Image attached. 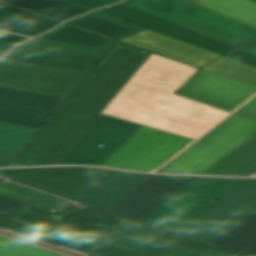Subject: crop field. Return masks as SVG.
I'll return each instance as SVG.
<instances>
[{"label":"crop field","mask_w":256,"mask_h":256,"mask_svg":"<svg viewBox=\"0 0 256 256\" xmlns=\"http://www.w3.org/2000/svg\"><path fill=\"white\" fill-rule=\"evenodd\" d=\"M256 131V119L233 114L159 172L201 174Z\"/></svg>","instance_id":"f4fd0767"},{"label":"crop field","mask_w":256,"mask_h":256,"mask_svg":"<svg viewBox=\"0 0 256 256\" xmlns=\"http://www.w3.org/2000/svg\"><path fill=\"white\" fill-rule=\"evenodd\" d=\"M0 230L6 231V232H10V233H13V234L22 236V237H26V238H29V239L38 241V239L29 237V236H25V235H22V234H19V233H15V232L9 231V230L4 229V228H0ZM39 242H41V241H39ZM42 243H45V242H42ZM45 244L52 245V244H49V243H45ZM55 245H56V244H55ZM55 245H52V246H55ZM55 247H58V248H61V249H64V250H68V251H71V252H74V253H77V254H81V255L87 256V255H85L86 253L79 252V251H76V250H72V249H69V248H66V247H62V246H59V245H57V246H55ZM88 255H89V254H88ZM90 256H93V255H90Z\"/></svg>","instance_id":"d32e631a"},{"label":"crop field","mask_w":256,"mask_h":256,"mask_svg":"<svg viewBox=\"0 0 256 256\" xmlns=\"http://www.w3.org/2000/svg\"><path fill=\"white\" fill-rule=\"evenodd\" d=\"M240 50L256 56V40L246 45L245 47L241 48Z\"/></svg>","instance_id":"5866460e"},{"label":"crop field","mask_w":256,"mask_h":256,"mask_svg":"<svg viewBox=\"0 0 256 256\" xmlns=\"http://www.w3.org/2000/svg\"><path fill=\"white\" fill-rule=\"evenodd\" d=\"M235 48L256 38V30L188 0L126 2Z\"/></svg>","instance_id":"412701ff"},{"label":"crop field","mask_w":256,"mask_h":256,"mask_svg":"<svg viewBox=\"0 0 256 256\" xmlns=\"http://www.w3.org/2000/svg\"><path fill=\"white\" fill-rule=\"evenodd\" d=\"M10 161L4 160L0 158V166H8Z\"/></svg>","instance_id":"0bd39190"},{"label":"crop field","mask_w":256,"mask_h":256,"mask_svg":"<svg viewBox=\"0 0 256 256\" xmlns=\"http://www.w3.org/2000/svg\"><path fill=\"white\" fill-rule=\"evenodd\" d=\"M151 176L98 169L70 199L108 210L149 180Z\"/></svg>","instance_id":"28ad6ade"},{"label":"crop field","mask_w":256,"mask_h":256,"mask_svg":"<svg viewBox=\"0 0 256 256\" xmlns=\"http://www.w3.org/2000/svg\"><path fill=\"white\" fill-rule=\"evenodd\" d=\"M254 176H256V174Z\"/></svg>","instance_id":"c21b1889"},{"label":"crop field","mask_w":256,"mask_h":256,"mask_svg":"<svg viewBox=\"0 0 256 256\" xmlns=\"http://www.w3.org/2000/svg\"><path fill=\"white\" fill-rule=\"evenodd\" d=\"M15 44L12 43H8V42H4V41H0V58L4 56V54L6 53V51L13 47Z\"/></svg>","instance_id":"028f5c9d"},{"label":"crop field","mask_w":256,"mask_h":256,"mask_svg":"<svg viewBox=\"0 0 256 256\" xmlns=\"http://www.w3.org/2000/svg\"><path fill=\"white\" fill-rule=\"evenodd\" d=\"M240 255L242 256H256V243L252 245L250 248L242 252Z\"/></svg>","instance_id":"e1f06a70"},{"label":"crop field","mask_w":256,"mask_h":256,"mask_svg":"<svg viewBox=\"0 0 256 256\" xmlns=\"http://www.w3.org/2000/svg\"><path fill=\"white\" fill-rule=\"evenodd\" d=\"M97 168L59 167L0 170V175L69 198Z\"/></svg>","instance_id":"cbeb9de0"},{"label":"crop field","mask_w":256,"mask_h":256,"mask_svg":"<svg viewBox=\"0 0 256 256\" xmlns=\"http://www.w3.org/2000/svg\"><path fill=\"white\" fill-rule=\"evenodd\" d=\"M35 131V128L0 121V156L12 160Z\"/></svg>","instance_id":"eef30255"},{"label":"crop field","mask_w":256,"mask_h":256,"mask_svg":"<svg viewBox=\"0 0 256 256\" xmlns=\"http://www.w3.org/2000/svg\"><path fill=\"white\" fill-rule=\"evenodd\" d=\"M24 205H26V204H23V203L0 196V216L5 214L4 213L5 211H8V210L13 211L19 207L24 206Z\"/></svg>","instance_id":"1d83c4d3"},{"label":"crop field","mask_w":256,"mask_h":256,"mask_svg":"<svg viewBox=\"0 0 256 256\" xmlns=\"http://www.w3.org/2000/svg\"><path fill=\"white\" fill-rule=\"evenodd\" d=\"M87 72L2 60L0 87L65 98Z\"/></svg>","instance_id":"5a996713"},{"label":"crop field","mask_w":256,"mask_h":256,"mask_svg":"<svg viewBox=\"0 0 256 256\" xmlns=\"http://www.w3.org/2000/svg\"><path fill=\"white\" fill-rule=\"evenodd\" d=\"M0 227L96 256H238L69 200L54 213L26 205Z\"/></svg>","instance_id":"8a807250"},{"label":"crop field","mask_w":256,"mask_h":256,"mask_svg":"<svg viewBox=\"0 0 256 256\" xmlns=\"http://www.w3.org/2000/svg\"><path fill=\"white\" fill-rule=\"evenodd\" d=\"M256 172V132L202 174L250 176Z\"/></svg>","instance_id":"92a150f3"},{"label":"crop field","mask_w":256,"mask_h":256,"mask_svg":"<svg viewBox=\"0 0 256 256\" xmlns=\"http://www.w3.org/2000/svg\"><path fill=\"white\" fill-rule=\"evenodd\" d=\"M190 1L194 2V1H196V0H190Z\"/></svg>","instance_id":"c035e120"},{"label":"crop field","mask_w":256,"mask_h":256,"mask_svg":"<svg viewBox=\"0 0 256 256\" xmlns=\"http://www.w3.org/2000/svg\"><path fill=\"white\" fill-rule=\"evenodd\" d=\"M61 100L0 88V120L38 128Z\"/></svg>","instance_id":"d9b57169"},{"label":"crop field","mask_w":256,"mask_h":256,"mask_svg":"<svg viewBox=\"0 0 256 256\" xmlns=\"http://www.w3.org/2000/svg\"><path fill=\"white\" fill-rule=\"evenodd\" d=\"M65 1L82 6L90 10H93L103 5L120 2L118 0H65Z\"/></svg>","instance_id":"750c4746"},{"label":"crop field","mask_w":256,"mask_h":256,"mask_svg":"<svg viewBox=\"0 0 256 256\" xmlns=\"http://www.w3.org/2000/svg\"><path fill=\"white\" fill-rule=\"evenodd\" d=\"M242 180L198 177L142 223L174 232Z\"/></svg>","instance_id":"e52e79f7"},{"label":"crop field","mask_w":256,"mask_h":256,"mask_svg":"<svg viewBox=\"0 0 256 256\" xmlns=\"http://www.w3.org/2000/svg\"><path fill=\"white\" fill-rule=\"evenodd\" d=\"M98 12L222 56L235 49L126 3Z\"/></svg>","instance_id":"d1516ede"},{"label":"crop field","mask_w":256,"mask_h":256,"mask_svg":"<svg viewBox=\"0 0 256 256\" xmlns=\"http://www.w3.org/2000/svg\"><path fill=\"white\" fill-rule=\"evenodd\" d=\"M251 1H253V2H255V3H256V0H251Z\"/></svg>","instance_id":"b80d0937"},{"label":"crop field","mask_w":256,"mask_h":256,"mask_svg":"<svg viewBox=\"0 0 256 256\" xmlns=\"http://www.w3.org/2000/svg\"><path fill=\"white\" fill-rule=\"evenodd\" d=\"M120 1H122V0H120Z\"/></svg>","instance_id":"03da06ac"},{"label":"crop field","mask_w":256,"mask_h":256,"mask_svg":"<svg viewBox=\"0 0 256 256\" xmlns=\"http://www.w3.org/2000/svg\"><path fill=\"white\" fill-rule=\"evenodd\" d=\"M112 41L64 23L57 29L29 41L25 45L101 56Z\"/></svg>","instance_id":"733c2abd"},{"label":"crop field","mask_w":256,"mask_h":256,"mask_svg":"<svg viewBox=\"0 0 256 256\" xmlns=\"http://www.w3.org/2000/svg\"><path fill=\"white\" fill-rule=\"evenodd\" d=\"M66 23L106 36L114 40L141 30L139 28L102 16L94 12H91L79 18L71 19Z\"/></svg>","instance_id":"00972430"},{"label":"crop field","mask_w":256,"mask_h":256,"mask_svg":"<svg viewBox=\"0 0 256 256\" xmlns=\"http://www.w3.org/2000/svg\"><path fill=\"white\" fill-rule=\"evenodd\" d=\"M197 71L152 54L103 113L195 140L229 114L173 94Z\"/></svg>","instance_id":"34b2d1b8"},{"label":"crop field","mask_w":256,"mask_h":256,"mask_svg":"<svg viewBox=\"0 0 256 256\" xmlns=\"http://www.w3.org/2000/svg\"><path fill=\"white\" fill-rule=\"evenodd\" d=\"M256 242V210L208 245L240 254Z\"/></svg>","instance_id":"dafd665d"},{"label":"crop field","mask_w":256,"mask_h":256,"mask_svg":"<svg viewBox=\"0 0 256 256\" xmlns=\"http://www.w3.org/2000/svg\"><path fill=\"white\" fill-rule=\"evenodd\" d=\"M192 141L142 126L103 165L151 171L160 167Z\"/></svg>","instance_id":"d8731c3e"},{"label":"crop field","mask_w":256,"mask_h":256,"mask_svg":"<svg viewBox=\"0 0 256 256\" xmlns=\"http://www.w3.org/2000/svg\"><path fill=\"white\" fill-rule=\"evenodd\" d=\"M61 21L48 18L24 9L0 2V29L22 35L35 36L43 33ZM0 38L21 43L29 38L1 32Z\"/></svg>","instance_id":"bc2a9ffb"},{"label":"crop field","mask_w":256,"mask_h":256,"mask_svg":"<svg viewBox=\"0 0 256 256\" xmlns=\"http://www.w3.org/2000/svg\"><path fill=\"white\" fill-rule=\"evenodd\" d=\"M140 127L141 125L101 114L59 163L101 166ZM101 144L107 147H98Z\"/></svg>","instance_id":"3316defc"},{"label":"crop field","mask_w":256,"mask_h":256,"mask_svg":"<svg viewBox=\"0 0 256 256\" xmlns=\"http://www.w3.org/2000/svg\"><path fill=\"white\" fill-rule=\"evenodd\" d=\"M195 178L156 176L110 212L141 222Z\"/></svg>","instance_id":"5142ce71"},{"label":"crop field","mask_w":256,"mask_h":256,"mask_svg":"<svg viewBox=\"0 0 256 256\" xmlns=\"http://www.w3.org/2000/svg\"><path fill=\"white\" fill-rule=\"evenodd\" d=\"M203 70L256 87V68L226 57L215 61Z\"/></svg>","instance_id":"ae1a2a85"},{"label":"crop field","mask_w":256,"mask_h":256,"mask_svg":"<svg viewBox=\"0 0 256 256\" xmlns=\"http://www.w3.org/2000/svg\"><path fill=\"white\" fill-rule=\"evenodd\" d=\"M256 209V179H246L176 232L205 244Z\"/></svg>","instance_id":"dd49c442"},{"label":"crop field","mask_w":256,"mask_h":256,"mask_svg":"<svg viewBox=\"0 0 256 256\" xmlns=\"http://www.w3.org/2000/svg\"><path fill=\"white\" fill-rule=\"evenodd\" d=\"M256 93V88L200 70L178 94L217 106L234 110Z\"/></svg>","instance_id":"22f410ed"},{"label":"crop field","mask_w":256,"mask_h":256,"mask_svg":"<svg viewBox=\"0 0 256 256\" xmlns=\"http://www.w3.org/2000/svg\"><path fill=\"white\" fill-rule=\"evenodd\" d=\"M119 41L162 54L195 66H202L219 57L207 51L145 30Z\"/></svg>","instance_id":"4a817a6b"},{"label":"crop field","mask_w":256,"mask_h":256,"mask_svg":"<svg viewBox=\"0 0 256 256\" xmlns=\"http://www.w3.org/2000/svg\"><path fill=\"white\" fill-rule=\"evenodd\" d=\"M0 256H62L0 237Z\"/></svg>","instance_id":"d3111659"},{"label":"crop field","mask_w":256,"mask_h":256,"mask_svg":"<svg viewBox=\"0 0 256 256\" xmlns=\"http://www.w3.org/2000/svg\"><path fill=\"white\" fill-rule=\"evenodd\" d=\"M256 29V4L248 0H199L195 2Z\"/></svg>","instance_id":"730fd06b"},{"label":"crop field","mask_w":256,"mask_h":256,"mask_svg":"<svg viewBox=\"0 0 256 256\" xmlns=\"http://www.w3.org/2000/svg\"><path fill=\"white\" fill-rule=\"evenodd\" d=\"M150 55L116 42L10 166L58 165Z\"/></svg>","instance_id":"ac0d7876"},{"label":"crop field","mask_w":256,"mask_h":256,"mask_svg":"<svg viewBox=\"0 0 256 256\" xmlns=\"http://www.w3.org/2000/svg\"><path fill=\"white\" fill-rule=\"evenodd\" d=\"M2 2L24 8L58 20H66L86 11L82 7L62 0H0Z\"/></svg>","instance_id":"4177f3b9"},{"label":"crop field","mask_w":256,"mask_h":256,"mask_svg":"<svg viewBox=\"0 0 256 256\" xmlns=\"http://www.w3.org/2000/svg\"><path fill=\"white\" fill-rule=\"evenodd\" d=\"M235 113L251 116L256 118V97L238 109Z\"/></svg>","instance_id":"120bbe31"},{"label":"crop field","mask_w":256,"mask_h":256,"mask_svg":"<svg viewBox=\"0 0 256 256\" xmlns=\"http://www.w3.org/2000/svg\"><path fill=\"white\" fill-rule=\"evenodd\" d=\"M226 57H229V58L235 59L237 61H240V62H243V63H246V64L256 67V57L252 56L250 54H247L245 52H242L240 50H238Z\"/></svg>","instance_id":"bd1437ed"},{"label":"crop field","mask_w":256,"mask_h":256,"mask_svg":"<svg viewBox=\"0 0 256 256\" xmlns=\"http://www.w3.org/2000/svg\"><path fill=\"white\" fill-rule=\"evenodd\" d=\"M0 195L52 212L66 201L10 181L0 182Z\"/></svg>","instance_id":"a9b5d70f"},{"label":"crop field","mask_w":256,"mask_h":256,"mask_svg":"<svg viewBox=\"0 0 256 256\" xmlns=\"http://www.w3.org/2000/svg\"><path fill=\"white\" fill-rule=\"evenodd\" d=\"M98 58L97 56L20 45L10 51L5 59L90 70Z\"/></svg>","instance_id":"214f88e0"}]
</instances>
